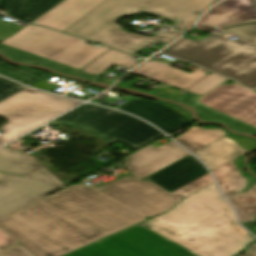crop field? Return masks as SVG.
<instances>
[{"instance_id":"1","label":"crop field","mask_w":256,"mask_h":256,"mask_svg":"<svg viewBox=\"0 0 256 256\" xmlns=\"http://www.w3.org/2000/svg\"><path fill=\"white\" fill-rule=\"evenodd\" d=\"M187 155L172 141L149 145L123 160L132 176L99 187L77 184L1 220L0 226L35 256L65 255L168 211L183 197L141 179Z\"/></svg>"},{"instance_id":"2","label":"crop field","mask_w":256,"mask_h":256,"mask_svg":"<svg viewBox=\"0 0 256 256\" xmlns=\"http://www.w3.org/2000/svg\"><path fill=\"white\" fill-rule=\"evenodd\" d=\"M144 223L202 256H232L254 241L237 225L232 209L215 185Z\"/></svg>"},{"instance_id":"3","label":"crop field","mask_w":256,"mask_h":256,"mask_svg":"<svg viewBox=\"0 0 256 256\" xmlns=\"http://www.w3.org/2000/svg\"><path fill=\"white\" fill-rule=\"evenodd\" d=\"M217 0H106L64 33L90 39L123 52L136 54L158 42H170L181 33H158L151 37L127 34L115 22L139 11L174 22L176 30H186L200 13ZM196 13L197 15L193 14Z\"/></svg>"},{"instance_id":"4","label":"crop field","mask_w":256,"mask_h":256,"mask_svg":"<svg viewBox=\"0 0 256 256\" xmlns=\"http://www.w3.org/2000/svg\"><path fill=\"white\" fill-rule=\"evenodd\" d=\"M163 53L256 87V47L240 39L231 41L214 33L196 41L183 37Z\"/></svg>"},{"instance_id":"5","label":"crop field","mask_w":256,"mask_h":256,"mask_svg":"<svg viewBox=\"0 0 256 256\" xmlns=\"http://www.w3.org/2000/svg\"><path fill=\"white\" fill-rule=\"evenodd\" d=\"M0 218L59 190L65 185L31 156L7 147L0 150Z\"/></svg>"},{"instance_id":"6","label":"crop field","mask_w":256,"mask_h":256,"mask_svg":"<svg viewBox=\"0 0 256 256\" xmlns=\"http://www.w3.org/2000/svg\"><path fill=\"white\" fill-rule=\"evenodd\" d=\"M50 123L84 129L107 143L119 140L135 149L162 136L158 130L134 117L88 104L82 105Z\"/></svg>"},{"instance_id":"7","label":"crop field","mask_w":256,"mask_h":256,"mask_svg":"<svg viewBox=\"0 0 256 256\" xmlns=\"http://www.w3.org/2000/svg\"><path fill=\"white\" fill-rule=\"evenodd\" d=\"M85 43L86 40L27 25L0 44L80 70L110 49L102 45L95 47Z\"/></svg>"},{"instance_id":"8","label":"crop field","mask_w":256,"mask_h":256,"mask_svg":"<svg viewBox=\"0 0 256 256\" xmlns=\"http://www.w3.org/2000/svg\"><path fill=\"white\" fill-rule=\"evenodd\" d=\"M80 101L24 88L0 102V117L7 124L0 127V143H5L79 104Z\"/></svg>"},{"instance_id":"9","label":"crop field","mask_w":256,"mask_h":256,"mask_svg":"<svg viewBox=\"0 0 256 256\" xmlns=\"http://www.w3.org/2000/svg\"><path fill=\"white\" fill-rule=\"evenodd\" d=\"M205 120H225L242 132L256 133V93L238 84L221 85L203 98H185Z\"/></svg>"},{"instance_id":"10","label":"crop field","mask_w":256,"mask_h":256,"mask_svg":"<svg viewBox=\"0 0 256 256\" xmlns=\"http://www.w3.org/2000/svg\"><path fill=\"white\" fill-rule=\"evenodd\" d=\"M65 256H200L140 226H134Z\"/></svg>"},{"instance_id":"11","label":"crop field","mask_w":256,"mask_h":256,"mask_svg":"<svg viewBox=\"0 0 256 256\" xmlns=\"http://www.w3.org/2000/svg\"><path fill=\"white\" fill-rule=\"evenodd\" d=\"M117 109L141 117L167 134L191 122L189 115L184 111L137 97L132 98Z\"/></svg>"},{"instance_id":"12","label":"crop field","mask_w":256,"mask_h":256,"mask_svg":"<svg viewBox=\"0 0 256 256\" xmlns=\"http://www.w3.org/2000/svg\"><path fill=\"white\" fill-rule=\"evenodd\" d=\"M254 148H256V142L250 139L233 138L227 135L193 154L197 155L212 171Z\"/></svg>"},{"instance_id":"13","label":"crop field","mask_w":256,"mask_h":256,"mask_svg":"<svg viewBox=\"0 0 256 256\" xmlns=\"http://www.w3.org/2000/svg\"><path fill=\"white\" fill-rule=\"evenodd\" d=\"M105 0H65L33 24L63 32Z\"/></svg>"},{"instance_id":"14","label":"crop field","mask_w":256,"mask_h":256,"mask_svg":"<svg viewBox=\"0 0 256 256\" xmlns=\"http://www.w3.org/2000/svg\"><path fill=\"white\" fill-rule=\"evenodd\" d=\"M208 173L191 155L147 177L169 192Z\"/></svg>"},{"instance_id":"15","label":"crop field","mask_w":256,"mask_h":256,"mask_svg":"<svg viewBox=\"0 0 256 256\" xmlns=\"http://www.w3.org/2000/svg\"><path fill=\"white\" fill-rule=\"evenodd\" d=\"M198 68L193 73L178 71L169 66V64L148 61L131 73L150 78L180 89L185 90L190 85L200 80L206 73Z\"/></svg>"},{"instance_id":"16","label":"crop field","mask_w":256,"mask_h":256,"mask_svg":"<svg viewBox=\"0 0 256 256\" xmlns=\"http://www.w3.org/2000/svg\"><path fill=\"white\" fill-rule=\"evenodd\" d=\"M256 17L252 0H227L209 11L198 24L222 26Z\"/></svg>"},{"instance_id":"17","label":"crop field","mask_w":256,"mask_h":256,"mask_svg":"<svg viewBox=\"0 0 256 256\" xmlns=\"http://www.w3.org/2000/svg\"><path fill=\"white\" fill-rule=\"evenodd\" d=\"M62 0H0V8L17 20L29 23Z\"/></svg>"},{"instance_id":"18","label":"crop field","mask_w":256,"mask_h":256,"mask_svg":"<svg viewBox=\"0 0 256 256\" xmlns=\"http://www.w3.org/2000/svg\"><path fill=\"white\" fill-rule=\"evenodd\" d=\"M225 135L227 134L221 129L204 130L201 127H192L175 140L193 153Z\"/></svg>"},{"instance_id":"19","label":"crop field","mask_w":256,"mask_h":256,"mask_svg":"<svg viewBox=\"0 0 256 256\" xmlns=\"http://www.w3.org/2000/svg\"><path fill=\"white\" fill-rule=\"evenodd\" d=\"M134 57L110 49L86 68H84L82 72L97 76L106 71L113 64H117L130 69L139 63V61L134 60Z\"/></svg>"},{"instance_id":"20","label":"crop field","mask_w":256,"mask_h":256,"mask_svg":"<svg viewBox=\"0 0 256 256\" xmlns=\"http://www.w3.org/2000/svg\"><path fill=\"white\" fill-rule=\"evenodd\" d=\"M213 174L224 195L243 190L246 186L245 180L237 172L232 162L213 171Z\"/></svg>"},{"instance_id":"21","label":"crop field","mask_w":256,"mask_h":256,"mask_svg":"<svg viewBox=\"0 0 256 256\" xmlns=\"http://www.w3.org/2000/svg\"><path fill=\"white\" fill-rule=\"evenodd\" d=\"M237 209L241 222L253 221L256 213V184L246 192L227 196Z\"/></svg>"},{"instance_id":"22","label":"crop field","mask_w":256,"mask_h":256,"mask_svg":"<svg viewBox=\"0 0 256 256\" xmlns=\"http://www.w3.org/2000/svg\"><path fill=\"white\" fill-rule=\"evenodd\" d=\"M0 74L28 85L48 75L47 73L25 66L15 69L2 61H0Z\"/></svg>"},{"instance_id":"23","label":"crop field","mask_w":256,"mask_h":256,"mask_svg":"<svg viewBox=\"0 0 256 256\" xmlns=\"http://www.w3.org/2000/svg\"><path fill=\"white\" fill-rule=\"evenodd\" d=\"M224 80H226V78L211 73L190 86L188 89H186V91L204 95L214 89L216 86H218Z\"/></svg>"},{"instance_id":"24","label":"crop field","mask_w":256,"mask_h":256,"mask_svg":"<svg viewBox=\"0 0 256 256\" xmlns=\"http://www.w3.org/2000/svg\"><path fill=\"white\" fill-rule=\"evenodd\" d=\"M224 31L256 44V22L225 27Z\"/></svg>"},{"instance_id":"25","label":"crop field","mask_w":256,"mask_h":256,"mask_svg":"<svg viewBox=\"0 0 256 256\" xmlns=\"http://www.w3.org/2000/svg\"><path fill=\"white\" fill-rule=\"evenodd\" d=\"M212 182V178L209 174H206L172 193L186 197Z\"/></svg>"},{"instance_id":"26","label":"crop field","mask_w":256,"mask_h":256,"mask_svg":"<svg viewBox=\"0 0 256 256\" xmlns=\"http://www.w3.org/2000/svg\"><path fill=\"white\" fill-rule=\"evenodd\" d=\"M25 86L13 83L9 80L0 77V101L6 97L18 92Z\"/></svg>"},{"instance_id":"27","label":"crop field","mask_w":256,"mask_h":256,"mask_svg":"<svg viewBox=\"0 0 256 256\" xmlns=\"http://www.w3.org/2000/svg\"><path fill=\"white\" fill-rule=\"evenodd\" d=\"M22 27L0 19V40L8 38Z\"/></svg>"},{"instance_id":"28","label":"crop field","mask_w":256,"mask_h":256,"mask_svg":"<svg viewBox=\"0 0 256 256\" xmlns=\"http://www.w3.org/2000/svg\"><path fill=\"white\" fill-rule=\"evenodd\" d=\"M0 256H33V255L19 244L13 248H10L0 253Z\"/></svg>"},{"instance_id":"29","label":"crop field","mask_w":256,"mask_h":256,"mask_svg":"<svg viewBox=\"0 0 256 256\" xmlns=\"http://www.w3.org/2000/svg\"><path fill=\"white\" fill-rule=\"evenodd\" d=\"M52 77H54V76L49 75V76L45 77L44 79H42V80H40V81L30 85V86H32L34 88H38V89H42V90L52 92L54 89L59 87V86H56L54 84H51V83L47 82Z\"/></svg>"},{"instance_id":"30","label":"crop field","mask_w":256,"mask_h":256,"mask_svg":"<svg viewBox=\"0 0 256 256\" xmlns=\"http://www.w3.org/2000/svg\"><path fill=\"white\" fill-rule=\"evenodd\" d=\"M14 241L0 230V249L11 246Z\"/></svg>"},{"instance_id":"31","label":"crop field","mask_w":256,"mask_h":256,"mask_svg":"<svg viewBox=\"0 0 256 256\" xmlns=\"http://www.w3.org/2000/svg\"><path fill=\"white\" fill-rule=\"evenodd\" d=\"M244 256H256V243L251 245L247 250H245Z\"/></svg>"},{"instance_id":"32","label":"crop field","mask_w":256,"mask_h":256,"mask_svg":"<svg viewBox=\"0 0 256 256\" xmlns=\"http://www.w3.org/2000/svg\"><path fill=\"white\" fill-rule=\"evenodd\" d=\"M242 157V156H241ZM241 157L235 159L233 162L234 166L236 167V169L239 171V173L241 174V176L246 180V181H249L251 178L250 177H246V176H243L245 173L242 172V170H240V167L238 165V162L239 160L241 159Z\"/></svg>"},{"instance_id":"33","label":"crop field","mask_w":256,"mask_h":256,"mask_svg":"<svg viewBox=\"0 0 256 256\" xmlns=\"http://www.w3.org/2000/svg\"><path fill=\"white\" fill-rule=\"evenodd\" d=\"M254 220L256 221V214H255V216H254Z\"/></svg>"},{"instance_id":"34","label":"crop field","mask_w":256,"mask_h":256,"mask_svg":"<svg viewBox=\"0 0 256 256\" xmlns=\"http://www.w3.org/2000/svg\"><path fill=\"white\" fill-rule=\"evenodd\" d=\"M6 249V248H5ZM2 250H4V249H2ZM2 250H0V251H2Z\"/></svg>"},{"instance_id":"35","label":"crop field","mask_w":256,"mask_h":256,"mask_svg":"<svg viewBox=\"0 0 256 256\" xmlns=\"http://www.w3.org/2000/svg\"><path fill=\"white\" fill-rule=\"evenodd\" d=\"M255 1V3H256V0H254Z\"/></svg>"},{"instance_id":"36","label":"crop field","mask_w":256,"mask_h":256,"mask_svg":"<svg viewBox=\"0 0 256 256\" xmlns=\"http://www.w3.org/2000/svg\"><path fill=\"white\" fill-rule=\"evenodd\" d=\"M1 146V145H0Z\"/></svg>"}]
</instances>
